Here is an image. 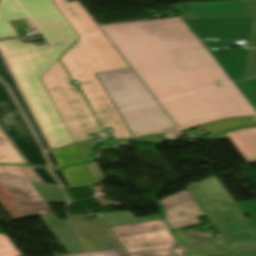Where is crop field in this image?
I'll return each instance as SVG.
<instances>
[{
	"label": "crop field",
	"mask_w": 256,
	"mask_h": 256,
	"mask_svg": "<svg viewBox=\"0 0 256 256\" xmlns=\"http://www.w3.org/2000/svg\"><path fill=\"white\" fill-rule=\"evenodd\" d=\"M100 28L180 130L256 115L180 17Z\"/></svg>",
	"instance_id": "1"
},
{
	"label": "crop field",
	"mask_w": 256,
	"mask_h": 256,
	"mask_svg": "<svg viewBox=\"0 0 256 256\" xmlns=\"http://www.w3.org/2000/svg\"><path fill=\"white\" fill-rule=\"evenodd\" d=\"M25 17L49 46L34 47L15 39L0 41V52L54 149L73 140L39 77L78 37L51 0H0V39L19 37L8 21Z\"/></svg>",
	"instance_id": "2"
},
{
	"label": "crop field",
	"mask_w": 256,
	"mask_h": 256,
	"mask_svg": "<svg viewBox=\"0 0 256 256\" xmlns=\"http://www.w3.org/2000/svg\"><path fill=\"white\" fill-rule=\"evenodd\" d=\"M78 35V47L68 49L59 59L71 79L80 82V89L103 129L111 128L114 139L132 138L96 73L129 66L80 4L67 0H52ZM109 116L104 117L101 113Z\"/></svg>",
	"instance_id": "3"
},
{
	"label": "crop field",
	"mask_w": 256,
	"mask_h": 256,
	"mask_svg": "<svg viewBox=\"0 0 256 256\" xmlns=\"http://www.w3.org/2000/svg\"><path fill=\"white\" fill-rule=\"evenodd\" d=\"M98 76L133 137L178 130L131 68Z\"/></svg>",
	"instance_id": "4"
},
{
	"label": "crop field",
	"mask_w": 256,
	"mask_h": 256,
	"mask_svg": "<svg viewBox=\"0 0 256 256\" xmlns=\"http://www.w3.org/2000/svg\"><path fill=\"white\" fill-rule=\"evenodd\" d=\"M200 40L249 39L254 10L246 0L174 5Z\"/></svg>",
	"instance_id": "5"
},
{
	"label": "crop field",
	"mask_w": 256,
	"mask_h": 256,
	"mask_svg": "<svg viewBox=\"0 0 256 256\" xmlns=\"http://www.w3.org/2000/svg\"><path fill=\"white\" fill-rule=\"evenodd\" d=\"M40 79L75 142L89 140L88 134L102 131L59 59Z\"/></svg>",
	"instance_id": "6"
},
{
	"label": "crop field",
	"mask_w": 256,
	"mask_h": 256,
	"mask_svg": "<svg viewBox=\"0 0 256 256\" xmlns=\"http://www.w3.org/2000/svg\"><path fill=\"white\" fill-rule=\"evenodd\" d=\"M199 187L190 190L204 215L216 225L229 251L234 250L230 243L256 242V229L251 222L242 217V212L215 176L198 182ZM225 202L230 210L218 212L210 202ZM214 225V226H215Z\"/></svg>",
	"instance_id": "7"
},
{
	"label": "crop field",
	"mask_w": 256,
	"mask_h": 256,
	"mask_svg": "<svg viewBox=\"0 0 256 256\" xmlns=\"http://www.w3.org/2000/svg\"><path fill=\"white\" fill-rule=\"evenodd\" d=\"M111 230L130 256H176L174 249L178 243L164 220L113 227Z\"/></svg>",
	"instance_id": "8"
},
{
	"label": "crop field",
	"mask_w": 256,
	"mask_h": 256,
	"mask_svg": "<svg viewBox=\"0 0 256 256\" xmlns=\"http://www.w3.org/2000/svg\"><path fill=\"white\" fill-rule=\"evenodd\" d=\"M0 127L29 164L48 167L29 125L1 81Z\"/></svg>",
	"instance_id": "9"
},
{
	"label": "crop field",
	"mask_w": 256,
	"mask_h": 256,
	"mask_svg": "<svg viewBox=\"0 0 256 256\" xmlns=\"http://www.w3.org/2000/svg\"><path fill=\"white\" fill-rule=\"evenodd\" d=\"M70 217L79 234L80 252L123 247L103 219L85 220L82 215Z\"/></svg>",
	"instance_id": "10"
},
{
	"label": "crop field",
	"mask_w": 256,
	"mask_h": 256,
	"mask_svg": "<svg viewBox=\"0 0 256 256\" xmlns=\"http://www.w3.org/2000/svg\"><path fill=\"white\" fill-rule=\"evenodd\" d=\"M160 202L166 209V221L171 229L200 224L197 217L203 216V213L188 191L179 192Z\"/></svg>",
	"instance_id": "11"
},
{
	"label": "crop field",
	"mask_w": 256,
	"mask_h": 256,
	"mask_svg": "<svg viewBox=\"0 0 256 256\" xmlns=\"http://www.w3.org/2000/svg\"><path fill=\"white\" fill-rule=\"evenodd\" d=\"M0 185L24 198L15 202L24 218L52 213L29 181L0 175Z\"/></svg>",
	"instance_id": "12"
},
{
	"label": "crop field",
	"mask_w": 256,
	"mask_h": 256,
	"mask_svg": "<svg viewBox=\"0 0 256 256\" xmlns=\"http://www.w3.org/2000/svg\"><path fill=\"white\" fill-rule=\"evenodd\" d=\"M231 79H243L248 49L209 50Z\"/></svg>",
	"instance_id": "13"
},
{
	"label": "crop field",
	"mask_w": 256,
	"mask_h": 256,
	"mask_svg": "<svg viewBox=\"0 0 256 256\" xmlns=\"http://www.w3.org/2000/svg\"><path fill=\"white\" fill-rule=\"evenodd\" d=\"M214 137L217 140L230 139L248 163L256 162V127L241 128Z\"/></svg>",
	"instance_id": "14"
},
{
	"label": "crop field",
	"mask_w": 256,
	"mask_h": 256,
	"mask_svg": "<svg viewBox=\"0 0 256 256\" xmlns=\"http://www.w3.org/2000/svg\"><path fill=\"white\" fill-rule=\"evenodd\" d=\"M41 218L68 254L77 250L74 230L68 219L59 221L54 214L43 215Z\"/></svg>",
	"instance_id": "15"
},
{
	"label": "crop field",
	"mask_w": 256,
	"mask_h": 256,
	"mask_svg": "<svg viewBox=\"0 0 256 256\" xmlns=\"http://www.w3.org/2000/svg\"><path fill=\"white\" fill-rule=\"evenodd\" d=\"M0 77L9 85L10 89L12 90V92L14 93L15 97L17 98L18 102L20 103L22 109L24 110L26 116L28 117L30 123L32 124L42 146L44 147L45 150H49L51 149L48 141L46 140L44 134L40 131H38L39 129V124L37 125L15 79L13 78L9 68L7 67L2 55L0 54Z\"/></svg>",
	"instance_id": "16"
},
{
	"label": "crop field",
	"mask_w": 256,
	"mask_h": 256,
	"mask_svg": "<svg viewBox=\"0 0 256 256\" xmlns=\"http://www.w3.org/2000/svg\"><path fill=\"white\" fill-rule=\"evenodd\" d=\"M73 188L96 185V182L86 164L77 165L64 170Z\"/></svg>",
	"instance_id": "17"
},
{
	"label": "crop field",
	"mask_w": 256,
	"mask_h": 256,
	"mask_svg": "<svg viewBox=\"0 0 256 256\" xmlns=\"http://www.w3.org/2000/svg\"><path fill=\"white\" fill-rule=\"evenodd\" d=\"M109 227L161 219V215L136 219L131 211L101 214Z\"/></svg>",
	"instance_id": "18"
},
{
	"label": "crop field",
	"mask_w": 256,
	"mask_h": 256,
	"mask_svg": "<svg viewBox=\"0 0 256 256\" xmlns=\"http://www.w3.org/2000/svg\"><path fill=\"white\" fill-rule=\"evenodd\" d=\"M0 163L5 164H26L20 154L7 140L0 130Z\"/></svg>",
	"instance_id": "19"
},
{
	"label": "crop field",
	"mask_w": 256,
	"mask_h": 256,
	"mask_svg": "<svg viewBox=\"0 0 256 256\" xmlns=\"http://www.w3.org/2000/svg\"><path fill=\"white\" fill-rule=\"evenodd\" d=\"M46 203H66V198L61 188L31 182Z\"/></svg>",
	"instance_id": "20"
},
{
	"label": "crop field",
	"mask_w": 256,
	"mask_h": 256,
	"mask_svg": "<svg viewBox=\"0 0 256 256\" xmlns=\"http://www.w3.org/2000/svg\"><path fill=\"white\" fill-rule=\"evenodd\" d=\"M172 233L180 240L191 256H203L219 252L212 244L195 247L182 230Z\"/></svg>",
	"instance_id": "21"
},
{
	"label": "crop field",
	"mask_w": 256,
	"mask_h": 256,
	"mask_svg": "<svg viewBox=\"0 0 256 256\" xmlns=\"http://www.w3.org/2000/svg\"><path fill=\"white\" fill-rule=\"evenodd\" d=\"M256 119L254 118H235L222 122L204 125L203 127L211 134L220 133L224 130L231 129L242 125H255Z\"/></svg>",
	"instance_id": "22"
},
{
	"label": "crop field",
	"mask_w": 256,
	"mask_h": 256,
	"mask_svg": "<svg viewBox=\"0 0 256 256\" xmlns=\"http://www.w3.org/2000/svg\"><path fill=\"white\" fill-rule=\"evenodd\" d=\"M54 153L62 168L74 163H84V160L76 145H71L66 148L56 150Z\"/></svg>",
	"instance_id": "23"
},
{
	"label": "crop field",
	"mask_w": 256,
	"mask_h": 256,
	"mask_svg": "<svg viewBox=\"0 0 256 256\" xmlns=\"http://www.w3.org/2000/svg\"><path fill=\"white\" fill-rule=\"evenodd\" d=\"M0 174L41 183L30 166H0Z\"/></svg>",
	"instance_id": "24"
},
{
	"label": "crop field",
	"mask_w": 256,
	"mask_h": 256,
	"mask_svg": "<svg viewBox=\"0 0 256 256\" xmlns=\"http://www.w3.org/2000/svg\"><path fill=\"white\" fill-rule=\"evenodd\" d=\"M244 96L256 109V80H233Z\"/></svg>",
	"instance_id": "25"
},
{
	"label": "crop field",
	"mask_w": 256,
	"mask_h": 256,
	"mask_svg": "<svg viewBox=\"0 0 256 256\" xmlns=\"http://www.w3.org/2000/svg\"><path fill=\"white\" fill-rule=\"evenodd\" d=\"M0 256H22L7 235L0 234Z\"/></svg>",
	"instance_id": "26"
},
{
	"label": "crop field",
	"mask_w": 256,
	"mask_h": 256,
	"mask_svg": "<svg viewBox=\"0 0 256 256\" xmlns=\"http://www.w3.org/2000/svg\"><path fill=\"white\" fill-rule=\"evenodd\" d=\"M244 79H256V49H249Z\"/></svg>",
	"instance_id": "27"
},
{
	"label": "crop field",
	"mask_w": 256,
	"mask_h": 256,
	"mask_svg": "<svg viewBox=\"0 0 256 256\" xmlns=\"http://www.w3.org/2000/svg\"><path fill=\"white\" fill-rule=\"evenodd\" d=\"M71 256H129V255L124 248H118V249H110V250L84 252L80 254H73Z\"/></svg>",
	"instance_id": "28"
},
{
	"label": "crop field",
	"mask_w": 256,
	"mask_h": 256,
	"mask_svg": "<svg viewBox=\"0 0 256 256\" xmlns=\"http://www.w3.org/2000/svg\"><path fill=\"white\" fill-rule=\"evenodd\" d=\"M98 144V140H95L77 145L86 162L92 160L93 154L96 151Z\"/></svg>",
	"instance_id": "29"
},
{
	"label": "crop field",
	"mask_w": 256,
	"mask_h": 256,
	"mask_svg": "<svg viewBox=\"0 0 256 256\" xmlns=\"http://www.w3.org/2000/svg\"><path fill=\"white\" fill-rule=\"evenodd\" d=\"M115 148L116 147H111V146L101 147L95 160L99 159L101 151L115 149ZM87 166L89 167L90 171L92 172L97 184L100 183L104 177H103L98 165L95 162H91V163H87Z\"/></svg>",
	"instance_id": "30"
},
{
	"label": "crop field",
	"mask_w": 256,
	"mask_h": 256,
	"mask_svg": "<svg viewBox=\"0 0 256 256\" xmlns=\"http://www.w3.org/2000/svg\"><path fill=\"white\" fill-rule=\"evenodd\" d=\"M31 168L37 174L42 183L59 186V184L54 180V178L51 176L46 168H39L34 166H31Z\"/></svg>",
	"instance_id": "31"
},
{
	"label": "crop field",
	"mask_w": 256,
	"mask_h": 256,
	"mask_svg": "<svg viewBox=\"0 0 256 256\" xmlns=\"http://www.w3.org/2000/svg\"><path fill=\"white\" fill-rule=\"evenodd\" d=\"M238 206L241 208L243 213L251 216L252 224L256 227V200L250 202L239 203Z\"/></svg>",
	"instance_id": "32"
},
{
	"label": "crop field",
	"mask_w": 256,
	"mask_h": 256,
	"mask_svg": "<svg viewBox=\"0 0 256 256\" xmlns=\"http://www.w3.org/2000/svg\"><path fill=\"white\" fill-rule=\"evenodd\" d=\"M247 1L253 7V9L255 10L249 47H256V0H247Z\"/></svg>",
	"instance_id": "33"
},
{
	"label": "crop field",
	"mask_w": 256,
	"mask_h": 256,
	"mask_svg": "<svg viewBox=\"0 0 256 256\" xmlns=\"http://www.w3.org/2000/svg\"><path fill=\"white\" fill-rule=\"evenodd\" d=\"M52 170V169H51ZM63 186L71 188L63 170H52Z\"/></svg>",
	"instance_id": "34"
},
{
	"label": "crop field",
	"mask_w": 256,
	"mask_h": 256,
	"mask_svg": "<svg viewBox=\"0 0 256 256\" xmlns=\"http://www.w3.org/2000/svg\"><path fill=\"white\" fill-rule=\"evenodd\" d=\"M214 256H256V250L253 251H245L228 255H214Z\"/></svg>",
	"instance_id": "35"
},
{
	"label": "crop field",
	"mask_w": 256,
	"mask_h": 256,
	"mask_svg": "<svg viewBox=\"0 0 256 256\" xmlns=\"http://www.w3.org/2000/svg\"><path fill=\"white\" fill-rule=\"evenodd\" d=\"M47 155H48V158H49V160L51 162V167L52 168H60V166H59V164H58V162H57L53 152L52 151L48 152Z\"/></svg>",
	"instance_id": "36"
},
{
	"label": "crop field",
	"mask_w": 256,
	"mask_h": 256,
	"mask_svg": "<svg viewBox=\"0 0 256 256\" xmlns=\"http://www.w3.org/2000/svg\"><path fill=\"white\" fill-rule=\"evenodd\" d=\"M139 140H143V141H147V142H152V143H157V142H163L165 140H163L160 137H148V138H142Z\"/></svg>",
	"instance_id": "37"
},
{
	"label": "crop field",
	"mask_w": 256,
	"mask_h": 256,
	"mask_svg": "<svg viewBox=\"0 0 256 256\" xmlns=\"http://www.w3.org/2000/svg\"><path fill=\"white\" fill-rule=\"evenodd\" d=\"M130 142L147 143V142H143V141H139V140H136V141H117L119 146H128Z\"/></svg>",
	"instance_id": "38"
}]
</instances>
